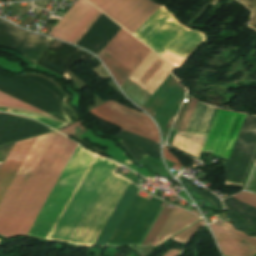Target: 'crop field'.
I'll return each instance as SVG.
<instances>
[{
  "label": "crop field",
  "mask_w": 256,
  "mask_h": 256,
  "mask_svg": "<svg viewBox=\"0 0 256 256\" xmlns=\"http://www.w3.org/2000/svg\"><path fill=\"white\" fill-rule=\"evenodd\" d=\"M218 0H214L213 3L211 4V6H213Z\"/></svg>",
  "instance_id": "25"
},
{
  "label": "crop field",
  "mask_w": 256,
  "mask_h": 256,
  "mask_svg": "<svg viewBox=\"0 0 256 256\" xmlns=\"http://www.w3.org/2000/svg\"><path fill=\"white\" fill-rule=\"evenodd\" d=\"M118 167L95 155L47 238L93 245L129 184Z\"/></svg>",
  "instance_id": "2"
},
{
  "label": "crop field",
  "mask_w": 256,
  "mask_h": 256,
  "mask_svg": "<svg viewBox=\"0 0 256 256\" xmlns=\"http://www.w3.org/2000/svg\"><path fill=\"white\" fill-rule=\"evenodd\" d=\"M88 1L97 7L103 0H88Z\"/></svg>",
  "instance_id": "24"
},
{
  "label": "crop field",
  "mask_w": 256,
  "mask_h": 256,
  "mask_svg": "<svg viewBox=\"0 0 256 256\" xmlns=\"http://www.w3.org/2000/svg\"><path fill=\"white\" fill-rule=\"evenodd\" d=\"M9 112L28 116V117L36 119V120H38V121H40V122H42V123H44L48 126H51L55 129H59V128L66 125V124H62V123H59V122H56V121H52V120H49L47 118H43V117H40V116H37V115L26 113V112L13 111V110H10Z\"/></svg>",
  "instance_id": "19"
},
{
  "label": "crop field",
  "mask_w": 256,
  "mask_h": 256,
  "mask_svg": "<svg viewBox=\"0 0 256 256\" xmlns=\"http://www.w3.org/2000/svg\"><path fill=\"white\" fill-rule=\"evenodd\" d=\"M150 50L122 28L104 52L134 71ZM104 52L99 57L120 87L133 71Z\"/></svg>",
  "instance_id": "3"
},
{
  "label": "crop field",
  "mask_w": 256,
  "mask_h": 256,
  "mask_svg": "<svg viewBox=\"0 0 256 256\" xmlns=\"http://www.w3.org/2000/svg\"><path fill=\"white\" fill-rule=\"evenodd\" d=\"M89 112L113 125L135 132L149 139L159 141L156 126L148 116L141 112L112 101Z\"/></svg>",
  "instance_id": "6"
},
{
  "label": "crop field",
  "mask_w": 256,
  "mask_h": 256,
  "mask_svg": "<svg viewBox=\"0 0 256 256\" xmlns=\"http://www.w3.org/2000/svg\"><path fill=\"white\" fill-rule=\"evenodd\" d=\"M84 128L80 125V121L60 130L62 133L66 134V135H73L81 130H83Z\"/></svg>",
  "instance_id": "21"
},
{
  "label": "crop field",
  "mask_w": 256,
  "mask_h": 256,
  "mask_svg": "<svg viewBox=\"0 0 256 256\" xmlns=\"http://www.w3.org/2000/svg\"><path fill=\"white\" fill-rule=\"evenodd\" d=\"M204 40L202 33L188 30L167 51L184 59Z\"/></svg>",
  "instance_id": "14"
},
{
  "label": "crop field",
  "mask_w": 256,
  "mask_h": 256,
  "mask_svg": "<svg viewBox=\"0 0 256 256\" xmlns=\"http://www.w3.org/2000/svg\"><path fill=\"white\" fill-rule=\"evenodd\" d=\"M187 29L162 5L133 35L161 55Z\"/></svg>",
  "instance_id": "5"
},
{
  "label": "crop field",
  "mask_w": 256,
  "mask_h": 256,
  "mask_svg": "<svg viewBox=\"0 0 256 256\" xmlns=\"http://www.w3.org/2000/svg\"><path fill=\"white\" fill-rule=\"evenodd\" d=\"M196 216L193 214L181 210L174 206L172 212L170 213L168 219L166 220L164 226L159 232L157 238L155 239L153 245L159 244L164 241L169 236L173 235L177 231L191 224L195 220H197Z\"/></svg>",
  "instance_id": "13"
},
{
  "label": "crop field",
  "mask_w": 256,
  "mask_h": 256,
  "mask_svg": "<svg viewBox=\"0 0 256 256\" xmlns=\"http://www.w3.org/2000/svg\"><path fill=\"white\" fill-rule=\"evenodd\" d=\"M26 31L0 19V46L15 49Z\"/></svg>",
  "instance_id": "15"
},
{
  "label": "crop field",
  "mask_w": 256,
  "mask_h": 256,
  "mask_svg": "<svg viewBox=\"0 0 256 256\" xmlns=\"http://www.w3.org/2000/svg\"><path fill=\"white\" fill-rule=\"evenodd\" d=\"M0 106H9V107H17V108H23V109H28V110H31V111H35V112H39V113H42V114H45V115H48L46 113H43L21 101H18L14 98H11L3 93L0 92ZM50 116V115H48ZM52 117V116H50Z\"/></svg>",
  "instance_id": "17"
},
{
  "label": "crop field",
  "mask_w": 256,
  "mask_h": 256,
  "mask_svg": "<svg viewBox=\"0 0 256 256\" xmlns=\"http://www.w3.org/2000/svg\"><path fill=\"white\" fill-rule=\"evenodd\" d=\"M233 197L242 201V202L248 203V204L253 205V206L256 207V195H254V194L242 192V193L237 194Z\"/></svg>",
  "instance_id": "20"
},
{
  "label": "crop field",
  "mask_w": 256,
  "mask_h": 256,
  "mask_svg": "<svg viewBox=\"0 0 256 256\" xmlns=\"http://www.w3.org/2000/svg\"><path fill=\"white\" fill-rule=\"evenodd\" d=\"M172 208L164 206L163 210L161 211L160 215L158 216L157 220L155 221L154 225L152 226L151 230L143 241L142 245H152L154 239L156 238Z\"/></svg>",
  "instance_id": "16"
},
{
  "label": "crop field",
  "mask_w": 256,
  "mask_h": 256,
  "mask_svg": "<svg viewBox=\"0 0 256 256\" xmlns=\"http://www.w3.org/2000/svg\"><path fill=\"white\" fill-rule=\"evenodd\" d=\"M159 7L152 0H104L97 8L133 34Z\"/></svg>",
  "instance_id": "8"
},
{
  "label": "crop field",
  "mask_w": 256,
  "mask_h": 256,
  "mask_svg": "<svg viewBox=\"0 0 256 256\" xmlns=\"http://www.w3.org/2000/svg\"><path fill=\"white\" fill-rule=\"evenodd\" d=\"M197 103L191 98L178 131H186ZM217 110L199 102L186 132L207 136ZM188 133L177 132L172 145L199 157L206 137Z\"/></svg>",
  "instance_id": "4"
},
{
  "label": "crop field",
  "mask_w": 256,
  "mask_h": 256,
  "mask_svg": "<svg viewBox=\"0 0 256 256\" xmlns=\"http://www.w3.org/2000/svg\"><path fill=\"white\" fill-rule=\"evenodd\" d=\"M173 68L151 50L129 78L151 95Z\"/></svg>",
  "instance_id": "11"
},
{
  "label": "crop field",
  "mask_w": 256,
  "mask_h": 256,
  "mask_svg": "<svg viewBox=\"0 0 256 256\" xmlns=\"http://www.w3.org/2000/svg\"><path fill=\"white\" fill-rule=\"evenodd\" d=\"M34 139L16 142L1 166L0 196ZM76 145L57 132L36 137L0 198L1 235L27 234ZM93 157L78 146L27 235L46 238Z\"/></svg>",
  "instance_id": "1"
},
{
  "label": "crop field",
  "mask_w": 256,
  "mask_h": 256,
  "mask_svg": "<svg viewBox=\"0 0 256 256\" xmlns=\"http://www.w3.org/2000/svg\"><path fill=\"white\" fill-rule=\"evenodd\" d=\"M179 252L178 250H168L164 256H176Z\"/></svg>",
  "instance_id": "23"
},
{
  "label": "crop field",
  "mask_w": 256,
  "mask_h": 256,
  "mask_svg": "<svg viewBox=\"0 0 256 256\" xmlns=\"http://www.w3.org/2000/svg\"><path fill=\"white\" fill-rule=\"evenodd\" d=\"M192 212H194L195 214L199 215V213H198L197 211H195L194 209H193V211H192Z\"/></svg>",
  "instance_id": "26"
},
{
  "label": "crop field",
  "mask_w": 256,
  "mask_h": 256,
  "mask_svg": "<svg viewBox=\"0 0 256 256\" xmlns=\"http://www.w3.org/2000/svg\"><path fill=\"white\" fill-rule=\"evenodd\" d=\"M223 254L230 256H253L256 253V237H248L236 231L233 225L223 221L221 225H209Z\"/></svg>",
  "instance_id": "10"
},
{
  "label": "crop field",
  "mask_w": 256,
  "mask_h": 256,
  "mask_svg": "<svg viewBox=\"0 0 256 256\" xmlns=\"http://www.w3.org/2000/svg\"><path fill=\"white\" fill-rule=\"evenodd\" d=\"M138 189V187L130 182L129 186L127 187L122 198L120 199L119 203L117 204L116 208L114 209L113 213L105 224L94 245H106L107 241L109 240L110 236L112 235L113 231L121 220L123 214L125 213Z\"/></svg>",
  "instance_id": "12"
},
{
  "label": "crop field",
  "mask_w": 256,
  "mask_h": 256,
  "mask_svg": "<svg viewBox=\"0 0 256 256\" xmlns=\"http://www.w3.org/2000/svg\"><path fill=\"white\" fill-rule=\"evenodd\" d=\"M245 116L219 109L203 151L227 160Z\"/></svg>",
  "instance_id": "7"
},
{
  "label": "crop field",
  "mask_w": 256,
  "mask_h": 256,
  "mask_svg": "<svg viewBox=\"0 0 256 256\" xmlns=\"http://www.w3.org/2000/svg\"><path fill=\"white\" fill-rule=\"evenodd\" d=\"M100 13L85 0H78L49 36L75 44Z\"/></svg>",
  "instance_id": "9"
},
{
  "label": "crop field",
  "mask_w": 256,
  "mask_h": 256,
  "mask_svg": "<svg viewBox=\"0 0 256 256\" xmlns=\"http://www.w3.org/2000/svg\"><path fill=\"white\" fill-rule=\"evenodd\" d=\"M164 158L178 164L181 166L179 160L177 157H175L173 154H171L166 147H164Z\"/></svg>",
  "instance_id": "22"
},
{
  "label": "crop field",
  "mask_w": 256,
  "mask_h": 256,
  "mask_svg": "<svg viewBox=\"0 0 256 256\" xmlns=\"http://www.w3.org/2000/svg\"><path fill=\"white\" fill-rule=\"evenodd\" d=\"M2 162H0V166H1Z\"/></svg>",
  "instance_id": "27"
},
{
  "label": "crop field",
  "mask_w": 256,
  "mask_h": 256,
  "mask_svg": "<svg viewBox=\"0 0 256 256\" xmlns=\"http://www.w3.org/2000/svg\"><path fill=\"white\" fill-rule=\"evenodd\" d=\"M204 224L205 223L202 220L196 223L195 225L189 227L188 229L184 230L183 232L177 234L176 236L172 237L171 239L187 244V242L190 240L193 234Z\"/></svg>",
  "instance_id": "18"
}]
</instances>
